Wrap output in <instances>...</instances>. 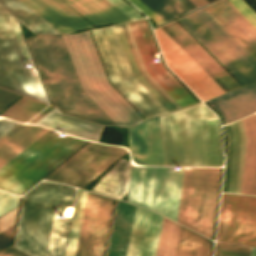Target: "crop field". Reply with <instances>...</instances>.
Returning <instances> with one entry per match:
<instances>
[{
  "label": "crop field",
  "mask_w": 256,
  "mask_h": 256,
  "mask_svg": "<svg viewBox=\"0 0 256 256\" xmlns=\"http://www.w3.org/2000/svg\"><path fill=\"white\" fill-rule=\"evenodd\" d=\"M167 65L204 101L224 91L160 28L154 30Z\"/></svg>",
  "instance_id": "14"
},
{
  "label": "crop field",
  "mask_w": 256,
  "mask_h": 256,
  "mask_svg": "<svg viewBox=\"0 0 256 256\" xmlns=\"http://www.w3.org/2000/svg\"><path fill=\"white\" fill-rule=\"evenodd\" d=\"M129 171L130 163L120 159L93 191L121 199L127 192Z\"/></svg>",
  "instance_id": "28"
},
{
  "label": "crop field",
  "mask_w": 256,
  "mask_h": 256,
  "mask_svg": "<svg viewBox=\"0 0 256 256\" xmlns=\"http://www.w3.org/2000/svg\"><path fill=\"white\" fill-rule=\"evenodd\" d=\"M0 5L33 32L57 33L18 0H0Z\"/></svg>",
  "instance_id": "31"
},
{
  "label": "crop field",
  "mask_w": 256,
  "mask_h": 256,
  "mask_svg": "<svg viewBox=\"0 0 256 256\" xmlns=\"http://www.w3.org/2000/svg\"><path fill=\"white\" fill-rule=\"evenodd\" d=\"M210 52H212L244 85L249 82L184 18L178 19Z\"/></svg>",
  "instance_id": "37"
},
{
  "label": "crop field",
  "mask_w": 256,
  "mask_h": 256,
  "mask_svg": "<svg viewBox=\"0 0 256 256\" xmlns=\"http://www.w3.org/2000/svg\"><path fill=\"white\" fill-rule=\"evenodd\" d=\"M225 129L228 146L222 192L240 193L246 138L241 121Z\"/></svg>",
  "instance_id": "21"
},
{
  "label": "crop field",
  "mask_w": 256,
  "mask_h": 256,
  "mask_svg": "<svg viewBox=\"0 0 256 256\" xmlns=\"http://www.w3.org/2000/svg\"><path fill=\"white\" fill-rule=\"evenodd\" d=\"M208 102L227 123L256 111V84L234 90Z\"/></svg>",
  "instance_id": "23"
},
{
  "label": "crop field",
  "mask_w": 256,
  "mask_h": 256,
  "mask_svg": "<svg viewBox=\"0 0 256 256\" xmlns=\"http://www.w3.org/2000/svg\"><path fill=\"white\" fill-rule=\"evenodd\" d=\"M161 29L225 92L239 85L175 22Z\"/></svg>",
  "instance_id": "18"
},
{
  "label": "crop field",
  "mask_w": 256,
  "mask_h": 256,
  "mask_svg": "<svg viewBox=\"0 0 256 256\" xmlns=\"http://www.w3.org/2000/svg\"><path fill=\"white\" fill-rule=\"evenodd\" d=\"M181 3H183L187 8L190 10L197 8L191 1L189 0H179Z\"/></svg>",
  "instance_id": "48"
},
{
  "label": "crop field",
  "mask_w": 256,
  "mask_h": 256,
  "mask_svg": "<svg viewBox=\"0 0 256 256\" xmlns=\"http://www.w3.org/2000/svg\"><path fill=\"white\" fill-rule=\"evenodd\" d=\"M27 40L49 96L62 112L114 125L81 91L59 35L34 34Z\"/></svg>",
  "instance_id": "2"
},
{
  "label": "crop field",
  "mask_w": 256,
  "mask_h": 256,
  "mask_svg": "<svg viewBox=\"0 0 256 256\" xmlns=\"http://www.w3.org/2000/svg\"><path fill=\"white\" fill-rule=\"evenodd\" d=\"M59 33L92 28L61 0H20Z\"/></svg>",
  "instance_id": "19"
},
{
  "label": "crop field",
  "mask_w": 256,
  "mask_h": 256,
  "mask_svg": "<svg viewBox=\"0 0 256 256\" xmlns=\"http://www.w3.org/2000/svg\"><path fill=\"white\" fill-rule=\"evenodd\" d=\"M13 226L0 233V250L4 249L11 238Z\"/></svg>",
  "instance_id": "45"
},
{
  "label": "crop field",
  "mask_w": 256,
  "mask_h": 256,
  "mask_svg": "<svg viewBox=\"0 0 256 256\" xmlns=\"http://www.w3.org/2000/svg\"><path fill=\"white\" fill-rule=\"evenodd\" d=\"M131 158L145 166H165L159 117L128 130Z\"/></svg>",
  "instance_id": "17"
},
{
  "label": "crop field",
  "mask_w": 256,
  "mask_h": 256,
  "mask_svg": "<svg viewBox=\"0 0 256 256\" xmlns=\"http://www.w3.org/2000/svg\"><path fill=\"white\" fill-rule=\"evenodd\" d=\"M195 14L256 74V61L239 46L203 9Z\"/></svg>",
  "instance_id": "32"
},
{
  "label": "crop field",
  "mask_w": 256,
  "mask_h": 256,
  "mask_svg": "<svg viewBox=\"0 0 256 256\" xmlns=\"http://www.w3.org/2000/svg\"><path fill=\"white\" fill-rule=\"evenodd\" d=\"M133 5H135L139 10H141L144 14H146L150 19H152L157 25L165 22L159 16H157L153 11H151L148 7H146L139 0H128Z\"/></svg>",
  "instance_id": "42"
},
{
  "label": "crop field",
  "mask_w": 256,
  "mask_h": 256,
  "mask_svg": "<svg viewBox=\"0 0 256 256\" xmlns=\"http://www.w3.org/2000/svg\"><path fill=\"white\" fill-rule=\"evenodd\" d=\"M113 202L87 192L75 256H103Z\"/></svg>",
  "instance_id": "12"
},
{
  "label": "crop field",
  "mask_w": 256,
  "mask_h": 256,
  "mask_svg": "<svg viewBox=\"0 0 256 256\" xmlns=\"http://www.w3.org/2000/svg\"><path fill=\"white\" fill-rule=\"evenodd\" d=\"M135 209L117 200L106 256H126ZM161 219L137 207L127 256H155Z\"/></svg>",
  "instance_id": "5"
},
{
  "label": "crop field",
  "mask_w": 256,
  "mask_h": 256,
  "mask_svg": "<svg viewBox=\"0 0 256 256\" xmlns=\"http://www.w3.org/2000/svg\"><path fill=\"white\" fill-rule=\"evenodd\" d=\"M48 129L18 124L0 138V168L34 142Z\"/></svg>",
  "instance_id": "25"
},
{
  "label": "crop field",
  "mask_w": 256,
  "mask_h": 256,
  "mask_svg": "<svg viewBox=\"0 0 256 256\" xmlns=\"http://www.w3.org/2000/svg\"><path fill=\"white\" fill-rule=\"evenodd\" d=\"M94 38L112 83L146 117L166 113L132 76L114 27L93 30Z\"/></svg>",
  "instance_id": "8"
},
{
  "label": "crop field",
  "mask_w": 256,
  "mask_h": 256,
  "mask_svg": "<svg viewBox=\"0 0 256 256\" xmlns=\"http://www.w3.org/2000/svg\"><path fill=\"white\" fill-rule=\"evenodd\" d=\"M45 106L44 103L24 96L1 116L19 122H27Z\"/></svg>",
  "instance_id": "34"
},
{
  "label": "crop field",
  "mask_w": 256,
  "mask_h": 256,
  "mask_svg": "<svg viewBox=\"0 0 256 256\" xmlns=\"http://www.w3.org/2000/svg\"><path fill=\"white\" fill-rule=\"evenodd\" d=\"M165 21L183 14L187 9L178 0H140ZM163 20V21H164Z\"/></svg>",
  "instance_id": "35"
},
{
  "label": "crop field",
  "mask_w": 256,
  "mask_h": 256,
  "mask_svg": "<svg viewBox=\"0 0 256 256\" xmlns=\"http://www.w3.org/2000/svg\"><path fill=\"white\" fill-rule=\"evenodd\" d=\"M251 248L216 242L214 256H249Z\"/></svg>",
  "instance_id": "39"
},
{
  "label": "crop field",
  "mask_w": 256,
  "mask_h": 256,
  "mask_svg": "<svg viewBox=\"0 0 256 256\" xmlns=\"http://www.w3.org/2000/svg\"><path fill=\"white\" fill-rule=\"evenodd\" d=\"M75 189L41 181L23 195L14 247L31 256H64L71 220L59 221Z\"/></svg>",
  "instance_id": "1"
},
{
  "label": "crop field",
  "mask_w": 256,
  "mask_h": 256,
  "mask_svg": "<svg viewBox=\"0 0 256 256\" xmlns=\"http://www.w3.org/2000/svg\"><path fill=\"white\" fill-rule=\"evenodd\" d=\"M160 121L166 166H190L182 110Z\"/></svg>",
  "instance_id": "20"
},
{
  "label": "crop field",
  "mask_w": 256,
  "mask_h": 256,
  "mask_svg": "<svg viewBox=\"0 0 256 256\" xmlns=\"http://www.w3.org/2000/svg\"><path fill=\"white\" fill-rule=\"evenodd\" d=\"M16 209L17 208L0 217V232L14 225Z\"/></svg>",
  "instance_id": "44"
},
{
  "label": "crop field",
  "mask_w": 256,
  "mask_h": 256,
  "mask_svg": "<svg viewBox=\"0 0 256 256\" xmlns=\"http://www.w3.org/2000/svg\"><path fill=\"white\" fill-rule=\"evenodd\" d=\"M185 18L250 82H256V75L226 47L193 13Z\"/></svg>",
  "instance_id": "29"
},
{
  "label": "crop field",
  "mask_w": 256,
  "mask_h": 256,
  "mask_svg": "<svg viewBox=\"0 0 256 256\" xmlns=\"http://www.w3.org/2000/svg\"><path fill=\"white\" fill-rule=\"evenodd\" d=\"M36 124L96 142L99 141L103 127L63 115L56 108L36 122Z\"/></svg>",
  "instance_id": "24"
},
{
  "label": "crop field",
  "mask_w": 256,
  "mask_h": 256,
  "mask_svg": "<svg viewBox=\"0 0 256 256\" xmlns=\"http://www.w3.org/2000/svg\"><path fill=\"white\" fill-rule=\"evenodd\" d=\"M126 152L90 142L46 178L83 188Z\"/></svg>",
  "instance_id": "9"
},
{
  "label": "crop field",
  "mask_w": 256,
  "mask_h": 256,
  "mask_svg": "<svg viewBox=\"0 0 256 256\" xmlns=\"http://www.w3.org/2000/svg\"><path fill=\"white\" fill-rule=\"evenodd\" d=\"M54 108H55L54 106L49 105L45 110H43L40 114H38L35 118H33L28 123H35L36 121H38L40 118H42L44 115H46L48 112H50Z\"/></svg>",
  "instance_id": "47"
},
{
  "label": "crop field",
  "mask_w": 256,
  "mask_h": 256,
  "mask_svg": "<svg viewBox=\"0 0 256 256\" xmlns=\"http://www.w3.org/2000/svg\"><path fill=\"white\" fill-rule=\"evenodd\" d=\"M18 197L0 192V215L17 206Z\"/></svg>",
  "instance_id": "40"
},
{
  "label": "crop field",
  "mask_w": 256,
  "mask_h": 256,
  "mask_svg": "<svg viewBox=\"0 0 256 256\" xmlns=\"http://www.w3.org/2000/svg\"><path fill=\"white\" fill-rule=\"evenodd\" d=\"M191 166H212L207 118H217L203 104L183 110ZM213 166H221L222 157L217 120L208 119Z\"/></svg>",
  "instance_id": "10"
},
{
  "label": "crop field",
  "mask_w": 256,
  "mask_h": 256,
  "mask_svg": "<svg viewBox=\"0 0 256 256\" xmlns=\"http://www.w3.org/2000/svg\"><path fill=\"white\" fill-rule=\"evenodd\" d=\"M184 171L132 167L128 201L176 221Z\"/></svg>",
  "instance_id": "7"
},
{
  "label": "crop field",
  "mask_w": 256,
  "mask_h": 256,
  "mask_svg": "<svg viewBox=\"0 0 256 256\" xmlns=\"http://www.w3.org/2000/svg\"><path fill=\"white\" fill-rule=\"evenodd\" d=\"M250 256H256V249L252 248Z\"/></svg>",
  "instance_id": "50"
},
{
  "label": "crop field",
  "mask_w": 256,
  "mask_h": 256,
  "mask_svg": "<svg viewBox=\"0 0 256 256\" xmlns=\"http://www.w3.org/2000/svg\"><path fill=\"white\" fill-rule=\"evenodd\" d=\"M229 1L256 26V15L241 0ZM229 1H220L204 10L256 60V27Z\"/></svg>",
  "instance_id": "15"
},
{
  "label": "crop field",
  "mask_w": 256,
  "mask_h": 256,
  "mask_svg": "<svg viewBox=\"0 0 256 256\" xmlns=\"http://www.w3.org/2000/svg\"><path fill=\"white\" fill-rule=\"evenodd\" d=\"M6 14H7V13H6ZM7 17H8V19H9V22H10V24H11V27H12V29H13V32H14V34H15V37H16V39H17V42H18V44H19V47H20V49H21V52H22V54H23V57H24V59H25V62H26V64H27V67H28V65H31V64H33V63H32V61H31V58H30V55H29L28 50H27V48H26L25 42H24L23 37H22V35H21V32H20V30H19L18 24H17L16 20L13 19L9 14H7ZM28 69H29V67H28ZM29 72H30V69H29ZM30 74H31V72H30ZM31 77H32V79H33V82H34V84H35V87H36V89H37V92H38V94H39L40 99H41L42 101L46 102V99H45V97H44V94H43V91H42V89H41V86H40V83H39V81H38V78H37L36 76H33V75H31ZM46 103H47V102H46Z\"/></svg>",
  "instance_id": "38"
},
{
  "label": "crop field",
  "mask_w": 256,
  "mask_h": 256,
  "mask_svg": "<svg viewBox=\"0 0 256 256\" xmlns=\"http://www.w3.org/2000/svg\"><path fill=\"white\" fill-rule=\"evenodd\" d=\"M83 91L116 124L143 120L108 83L88 32L61 35Z\"/></svg>",
  "instance_id": "3"
},
{
  "label": "crop field",
  "mask_w": 256,
  "mask_h": 256,
  "mask_svg": "<svg viewBox=\"0 0 256 256\" xmlns=\"http://www.w3.org/2000/svg\"><path fill=\"white\" fill-rule=\"evenodd\" d=\"M212 243L181 227L175 256H209Z\"/></svg>",
  "instance_id": "30"
},
{
  "label": "crop field",
  "mask_w": 256,
  "mask_h": 256,
  "mask_svg": "<svg viewBox=\"0 0 256 256\" xmlns=\"http://www.w3.org/2000/svg\"><path fill=\"white\" fill-rule=\"evenodd\" d=\"M96 27L130 21L106 0H64Z\"/></svg>",
  "instance_id": "26"
},
{
  "label": "crop field",
  "mask_w": 256,
  "mask_h": 256,
  "mask_svg": "<svg viewBox=\"0 0 256 256\" xmlns=\"http://www.w3.org/2000/svg\"><path fill=\"white\" fill-rule=\"evenodd\" d=\"M180 226L163 218L156 256H174Z\"/></svg>",
  "instance_id": "33"
},
{
  "label": "crop field",
  "mask_w": 256,
  "mask_h": 256,
  "mask_svg": "<svg viewBox=\"0 0 256 256\" xmlns=\"http://www.w3.org/2000/svg\"><path fill=\"white\" fill-rule=\"evenodd\" d=\"M0 256H27L13 248H9L5 251H3L2 253H0Z\"/></svg>",
  "instance_id": "46"
},
{
  "label": "crop field",
  "mask_w": 256,
  "mask_h": 256,
  "mask_svg": "<svg viewBox=\"0 0 256 256\" xmlns=\"http://www.w3.org/2000/svg\"><path fill=\"white\" fill-rule=\"evenodd\" d=\"M0 86L39 99L6 14L1 8Z\"/></svg>",
  "instance_id": "13"
},
{
  "label": "crop field",
  "mask_w": 256,
  "mask_h": 256,
  "mask_svg": "<svg viewBox=\"0 0 256 256\" xmlns=\"http://www.w3.org/2000/svg\"><path fill=\"white\" fill-rule=\"evenodd\" d=\"M18 97H20V95L0 89V112Z\"/></svg>",
  "instance_id": "43"
},
{
  "label": "crop field",
  "mask_w": 256,
  "mask_h": 256,
  "mask_svg": "<svg viewBox=\"0 0 256 256\" xmlns=\"http://www.w3.org/2000/svg\"><path fill=\"white\" fill-rule=\"evenodd\" d=\"M130 46L131 52L137 64L140 74L149 82V84L166 100V102L174 109H180V107L172 100V98L155 82V80L146 72L140 55L138 53L137 47L126 24L121 25ZM120 25L114 26L119 37L120 43L124 50L125 56L127 58L128 64L130 66L133 76L142 84V86L159 102V104L167 111H173V109L165 102V100L148 84V82L139 74L132 54L130 52L129 46L123 34Z\"/></svg>",
  "instance_id": "22"
},
{
  "label": "crop field",
  "mask_w": 256,
  "mask_h": 256,
  "mask_svg": "<svg viewBox=\"0 0 256 256\" xmlns=\"http://www.w3.org/2000/svg\"><path fill=\"white\" fill-rule=\"evenodd\" d=\"M246 138V154L241 194L256 195V114L242 120Z\"/></svg>",
  "instance_id": "27"
},
{
  "label": "crop field",
  "mask_w": 256,
  "mask_h": 256,
  "mask_svg": "<svg viewBox=\"0 0 256 256\" xmlns=\"http://www.w3.org/2000/svg\"><path fill=\"white\" fill-rule=\"evenodd\" d=\"M144 62L147 72L181 107H187L197 102L181 87V85L156 63L153 53H158L144 19L128 23Z\"/></svg>",
  "instance_id": "16"
},
{
  "label": "crop field",
  "mask_w": 256,
  "mask_h": 256,
  "mask_svg": "<svg viewBox=\"0 0 256 256\" xmlns=\"http://www.w3.org/2000/svg\"><path fill=\"white\" fill-rule=\"evenodd\" d=\"M216 240L256 246V198L222 194Z\"/></svg>",
  "instance_id": "11"
},
{
  "label": "crop field",
  "mask_w": 256,
  "mask_h": 256,
  "mask_svg": "<svg viewBox=\"0 0 256 256\" xmlns=\"http://www.w3.org/2000/svg\"><path fill=\"white\" fill-rule=\"evenodd\" d=\"M85 194V191L79 189L65 256L74 255Z\"/></svg>",
  "instance_id": "36"
},
{
  "label": "crop field",
  "mask_w": 256,
  "mask_h": 256,
  "mask_svg": "<svg viewBox=\"0 0 256 256\" xmlns=\"http://www.w3.org/2000/svg\"><path fill=\"white\" fill-rule=\"evenodd\" d=\"M85 142L46 132L0 169V189L20 195Z\"/></svg>",
  "instance_id": "4"
},
{
  "label": "crop field",
  "mask_w": 256,
  "mask_h": 256,
  "mask_svg": "<svg viewBox=\"0 0 256 256\" xmlns=\"http://www.w3.org/2000/svg\"><path fill=\"white\" fill-rule=\"evenodd\" d=\"M117 9L124 13L131 20L142 18L135 10H133L129 5H127L123 0H108Z\"/></svg>",
  "instance_id": "41"
},
{
  "label": "crop field",
  "mask_w": 256,
  "mask_h": 256,
  "mask_svg": "<svg viewBox=\"0 0 256 256\" xmlns=\"http://www.w3.org/2000/svg\"><path fill=\"white\" fill-rule=\"evenodd\" d=\"M219 172L220 168L185 171L177 219L178 223L210 238L213 235Z\"/></svg>",
  "instance_id": "6"
},
{
  "label": "crop field",
  "mask_w": 256,
  "mask_h": 256,
  "mask_svg": "<svg viewBox=\"0 0 256 256\" xmlns=\"http://www.w3.org/2000/svg\"><path fill=\"white\" fill-rule=\"evenodd\" d=\"M195 5H197L198 7L208 3V2H211L213 0H191Z\"/></svg>",
  "instance_id": "49"
}]
</instances>
